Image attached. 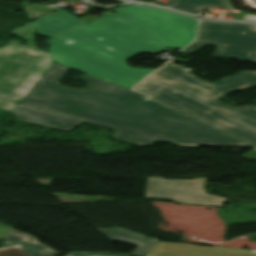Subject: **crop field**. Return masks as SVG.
<instances>
[{
	"label": "crop field",
	"mask_w": 256,
	"mask_h": 256,
	"mask_svg": "<svg viewBox=\"0 0 256 256\" xmlns=\"http://www.w3.org/2000/svg\"><path fill=\"white\" fill-rule=\"evenodd\" d=\"M67 67L54 64L21 102L77 117L83 120L21 105L12 112L17 120L70 131L81 121L115 129L114 138L139 145L166 141L179 146L247 145L213 127L138 94L83 75L88 89L78 91L58 81Z\"/></svg>",
	"instance_id": "obj_1"
},
{
	"label": "crop field",
	"mask_w": 256,
	"mask_h": 256,
	"mask_svg": "<svg viewBox=\"0 0 256 256\" xmlns=\"http://www.w3.org/2000/svg\"><path fill=\"white\" fill-rule=\"evenodd\" d=\"M47 43L58 63L128 89L156 69L131 68L126 59L141 52L165 51L161 40L118 11Z\"/></svg>",
	"instance_id": "obj_2"
},
{
	"label": "crop field",
	"mask_w": 256,
	"mask_h": 256,
	"mask_svg": "<svg viewBox=\"0 0 256 256\" xmlns=\"http://www.w3.org/2000/svg\"><path fill=\"white\" fill-rule=\"evenodd\" d=\"M30 23L12 33L27 45L9 40L0 48V99L21 102L54 63L49 53L37 49ZM10 95L11 97H9Z\"/></svg>",
	"instance_id": "obj_3"
},
{
	"label": "crop field",
	"mask_w": 256,
	"mask_h": 256,
	"mask_svg": "<svg viewBox=\"0 0 256 256\" xmlns=\"http://www.w3.org/2000/svg\"><path fill=\"white\" fill-rule=\"evenodd\" d=\"M205 45L218 47L213 56L256 63V25L200 21L198 37L183 52L193 53Z\"/></svg>",
	"instance_id": "obj_4"
},
{
	"label": "crop field",
	"mask_w": 256,
	"mask_h": 256,
	"mask_svg": "<svg viewBox=\"0 0 256 256\" xmlns=\"http://www.w3.org/2000/svg\"><path fill=\"white\" fill-rule=\"evenodd\" d=\"M117 9L155 33L170 47L182 49L195 38L198 21L190 17L133 5Z\"/></svg>",
	"instance_id": "obj_5"
},
{
	"label": "crop field",
	"mask_w": 256,
	"mask_h": 256,
	"mask_svg": "<svg viewBox=\"0 0 256 256\" xmlns=\"http://www.w3.org/2000/svg\"><path fill=\"white\" fill-rule=\"evenodd\" d=\"M187 96L199 101L217 113L256 131V107L247 105L243 107L231 108L218 101L224 94L197 78L191 73H187L181 78L169 84Z\"/></svg>",
	"instance_id": "obj_6"
},
{
	"label": "crop field",
	"mask_w": 256,
	"mask_h": 256,
	"mask_svg": "<svg viewBox=\"0 0 256 256\" xmlns=\"http://www.w3.org/2000/svg\"><path fill=\"white\" fill-rule=\"evenodd\" d=\"M206 178L193 180H165L148 177L145 197L174 200L179 203L223 206L227 198L207 194Z\"/></svg>",
	"instance_id": "obj_7"
},
{
	"label": "crop field",
	"mask_w": 256,
	"mask_h": 256,
	"mask_svg": "<svg viewBox=\"0 0 256 256\" xmlns=\"http://www.w3.org/2000/svg\"><path fill=\"white\" fill-rule=\"evenodd\" d=\"M152 98L175 107L256 146V132L224 118L170 86L163 88L153 95Z\"/></svg>",
	"instance_id": "obj_8"
},
{
	"label": "crop field",
	"mask_w": 256,
	"mask_h": 256,
	"mask_svg": "<svg viewBox=\"0 0 256 256\" xmlns=\"http://www.w3.org/2000/svg\"><path fill=\"white\" fill-rule=\"evenodd\" d=\"M146 256H256L255 251L158 242Z\"/></svg>",
	"instance_id": "obj_9"
},
{
	"label": "crop field",
	"mask_w": 256,
	"mask_h": 256,
	"mask_svg": "<svg viewBox=\"0 0 256 256\" xmlns=\"http://www.w3.org/2000/svg\"><path fill=\"white\" fill-rule=\"evenodd\" d=\"M85 23L86 22L80 20L79 18L71 15L70 13L62 9L55 13L32 21V24L38 31L39 35L48 38L76 28Z\"/></svg>",
	"instance_id": "obj_10"
},
{
	"label": "crop field",
	"mask_w": 256,
	"mask_h": 256,
	"mask_svg": "<svg viewBox=\"0 0 256 256\" xmlns=\"http://www.w3.org/2000/svg\"><path fill=\"white\" fill-rule=\"evenodd\" d=\"M4 239L17 246L0 250V256H54L58 254L52 249L38 243L34 237L20 233L14 229ZM44 250L50 252L44 254L42 253Z\"/></svg>",
	"instance_id": "obj_11"
},
{
	"label": "crop field",
	"mask_w": 256,
	"mask_h": 256,
	"mask_svg": "<svg viewBox=\"0 0 256 256\" xmlns=\"http://www.w3.org/2000/svg\"><path fill=\"white\" fill-rule=\"evenodd\" d=\"M97 230L109 240H118L139 245L134 256H145L158 242L150 237L127 231L122 228L110 227Z\"/></svg>",
	"instance_id": "obj_12"
},
{
	"label": "crop field",
	"mask_w": 256,
	"mask_h": 256,
	"mask_svg": "<svg viewBox=\"0 0 256 256\" xmlns=\"http://www.w3.org/2000/svg\"><path fill=\"white\" fill-rule=\"evenodd\" d=\"M222 93L242 90L247 87L256 86V72L243 71L232 77L223 78L221 81L210 83Z\"/></svg>",
	"instance_id": "obj_13"
},
{
	"label": "crop field",
	"mask_w": 256,
	"mask_h": 256,
	"mask_svg": "<svg viewBox=\"0 0 256 256\" xmlns=\"http://www.w3.org/2000/svg\"><path fill=\"white\" fill-rule=\"evenodd\" d=\"M166 6L194 14L218 6L231 7L227 0H169Z\"/></svg>",
	"instance_id": "obj_14"
},
{
	"label": "crop field",
	"mask_w": 256,
	"mask_h": 256,
	"mask_svg": "<svg viewBox=\"0 0 256 256\" xmlns=\"http://www.w3.org/2000/svg\"><path fill=\"white\" fill-rule=\"evenodd\" d=\"M185 73H187V70L174 66L171 62H168L158 71L149 76L147 80L169 84Z\"/></svg>",
	"instance_id": "obj_15"
},
{
	"label": "crop field",
	"mask_w": 256,
	"mask_h": 256,
	"mask_svg": "<svg viewBox=\"0 0 256 256\" xmlns=\"http://www.w3.org/2000/svg\"><path fill=\"white\" fill-rule=\"evenodd\" d=\"M165 86H166L165 84L144 80L132 89L152 96L153 94H155L157 91H159Z\"/></svg>",
	"instance_id": "obj_16"
},
{
	"label": "crop field",
	"mask_w": 256,
	"mask_h": 256,
	"mask_svg": "<svg viewBox=\"0 0 256 256\" xmlns=\"http://www.w3.org/2000/svg\"><path fill=\"white\" fill-rule=\"evenodd\" d=\"M17 105V103L0 101V110L12 112Z\"/></svg>",
	"instance_id": "obj_17"
},
{
	"label": "crop field",
	"mask_w": 256,
	"mask_h": 256,
	"mask_svg": "<svg viewBox=\"0 0 256 256\" xmlns=\"http://www.w3.org/2000/svg\"><path fill=\"white\" fill-rule=\"evenodd\" d=\"M10 230L11 228L0 223V239L4 238Z\"/></svg>",
	"instance_id": "obj_18"
},
{
	"label": "crop field",
	"mask_w": 256,
	"mask_h": 256,
	"mask_svg": "<svg viewBox=\"0 0 256 256\" xmlns=\"http://www.w3.org/2000/svg\"><path fill=\"white\" fill-rule=\"evenodd\" d=\"M72 256H121V255L72 254Z\"/></svg>",
	"instance_id": "obj_19"
},
{
	"label": "crop field",
	"mask_w": 256,
	"mask_h": 256,
	"mask_svg": "<svg viewBox=\"0 0 256 256\" xmlns=\"http://www.w3.org/2000/svg\"><path fill=\"white\" fill-rule=\"evenodd\" d=\"M244 19H250V20H255L256 21V15H249V14H246Z\"/></svg>",
	"instance_id": "obj_20"
},
{
	"label": "crop field",
	"mask_w": 256,
	"mask_h": 256,
	"mask_svg": "<svg viewBox=\"0 0 256 256\" xmlns=\"http://www.w3.org/2000/svg\"><path fill=\"white\" fill-rule=\"evenodd\" d=\"M246 2L252 6V7H256V0H246Z\"/></svg>",
	"instance_id": "obj_21"
},
{
	"label": "crop field",
	"mask_w": 256,
	"mask_h": 256,
	"mask_svg": "<svg viewBox=\"0 0 256 256\" xmlns=\"http://www.w3.org/2000/svg\"><path fill=\"white\" fill-rule=\"evenodd\" d=\"M119 11V10H118ZM122 13V12H121ZM125 15V14H124ZM127 16V15H126ZM128 17V16H127ZM131 19V18H130ZM149 31V30H148ZM152 33V32H151ZM156 36V35H155ZM159 38V37H158ZM160 39V38H159ZM165 44V48L166 47H168L167 45H166V43H164Z\"/></svg>",
	"instance_id": "obj_22"
},
{
	"label": "crop field",
	"mask_w": 256,
	"mask_h": 256,
	"mask_svg": "<svg viewBox=\"0 0 256 256\" xmlns=\"http://www.w3.org/2000/svg\"><path fill=\"white\" fill-rule=\"evenodd\" d=\"M256 149V148H255Z\"/></svg>",
	"instance_id": "obj_23"
}]
</instances>
